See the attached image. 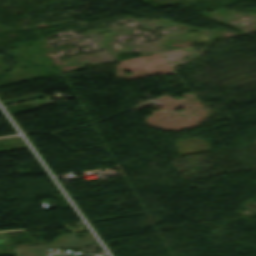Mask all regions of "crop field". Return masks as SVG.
Wrapping results in <instances>:
<instances>
[{
  "mask_svg": "<svg viewBox=\"0 0 256 256\" xmlns=\"http://www.w3.org/2000/svg\"><path fill=\"white\" fill-rule=\"evenodd\" d=\"M86 238L77 239L75 234H67L68 241L54 243L49 245H40V246H30V247H20L16 249L17 256H45V249H54V248H66L72 246H83L91 243H95L92 237L85 233Z\"/></svg>",
  "mask_w": 256,
  "mask_h": 256,
  "instance_id": "obj_1",
  "label": "crop field"
}]
</instances>
